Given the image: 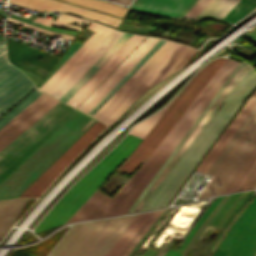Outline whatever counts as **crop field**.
<instances>
[{
  "instance_id": "obj_1",
  "label": "crop field",
  "mask_w": 256,
  "mask_h": 256,
  "mask_svg": "<svg viewBox=\"0 0 256 256\" xmlns=\"http://www.w3.org/2000/svg\"><path fill=\"white\" fill-rule=\"evenodd\" d=\"M255 85L256 72L239 63L127 213L165 207Z\"/></svg>"
},
{
  "instance_id": "obj_2",
  "label": "crop field",
  "mask_w": 256,
  "mask_h": 256,
  "mask_svg": "<svg viewBox=\"0 0 256 256\" xmlns=\"http://www.w3.org/2000/svg\"><path fill=\"white\" fill-rule=\"evenodd\" d=\"M225 58L215 59L213 62L201 69L186 87L174 98V100L158 113L143 121L127 135V137L106 155L86 175L78 180L55 204L50 212L36 227L38 233L48 227L63 224L85 201L86 199L106 180V178L118 168L131 173L133 169L146 159L167 132L172 128L202 88L210 80L213 74L224 62Z\"/></svg>"
},
{
  "instance_id": "obj_3",
  "label": "crop field",
  "mask_w": 256,
  "mask_h": 256,
  "mask_svg": "<svg viewBox=\"0 0 256 256\" xmlns=\"http://www.w3.org/2000/svg\"><path fill=\"white\" fill-rule=\"evenodd\" d=\"M237 64L238 62L233 60H226L153 154L147 158L112 199L95 191L67 223L126 213Z\"/></svg>"
},
{
  "instance_id": "obj_4",
  "label": "crop field",
  "mask_w": 256,
  "mask_h": 256,
  "mask_svg": "<svg viewBox=\"0 0 256 256\" xmlns=\"http://www.w3.org/2000/svg\"><path fill=\"white\" fill-rule=\"evenodd\" d=\"M91 119L77 111L0 185V199L18 197L95 122V120L93 121L94 118ZM86 123L91 124L87 126ZM81 128L82 130L85 129L81 131Z\"/></svg>"
},
{
  "instance_id": "obj_5",
  "label": "crop field",
  "mask_w": 256,
  "mask_h": 256,
  "mask_svg": "<svg viewBox=\"0 0 256 256\" xmlns=\"http://www.w3.org/2000/svg\"><path fill=\"white\" fill-rule=\"evenodd\" d=\"M136 215L74 224L50 256H104Z\"/></svg>"
},
{
  "instance_id": "obj_6",
  "label": "crop field",
  "mask_w": 256,
  "mask_h": 256,
  "mask_svg": "<svg viewBox=\"0 0 256 256\" xmlns=\"http://www.w3.org/2000/svg\"><path fill=\"white\" fill-rule=\"evenodd\" d=\"M75 110L59 101L0 150V182Z\"/></svg>"
},
{
  "instance_id": "obj_7",
  "label": "crop field",
  "mask_w": 256,
  "mask_h": 256,
  "mask_svg": "<svg viewBox=\"0 0 256 256\" xmlns=\"http://www.w3.org/2000/svg\"><path fill=\"white\" fill-rule=\"evenodd\" d=\"M247 140L249 142H247ZM256 147V115L217 170L199 198L224 194L239 170ZM221 184L220 187L217 185Z\"/></svg>"
},
{
  "instance_id": "obj_8",
  "label": "crop field",
  "mask_w": 256,
  "mask_h": 256,
  "mask_svg": "<svg viewBox=\"0 0 256 256\" xmlns=\"http://www.w3.org/2000/svg\"><path fill=\"white\" fill-rule=\"evenodd\" d=\"M256 196L231 226L213 256H255Z\"/></svg>"
},
{
  "instance_id": "obj_9",
  "label": "crop field",
  "mask_w": 256,
  "mask_h": 256,
  "mask_svg": "<svg viewBox=\"0 0 256 256\" xmlns=\"http://www.w3.org/2000/svg\"><path fill=\"white\" fill-rule=\"evenodd\" d=\"M58 21L81 25L89 20L60 14ZM84 26V25H81ZM87 29L95 32L39 89L51 93L80 63L81 61L112 31L103 25L91 22Z\"/></svg>"
},
{
  "instance_id": "obj_10",
  "label": "crop field",
  "mask_w": 256,
  "mask_h": 256,
  "mask_svg": "<svg viewBox=\"0 0 256 256\" xmlns=\"http://www.w3.org/2000/svg\"><path fill=\"white\" fill-rule=\"evenodd\" d=\"M105 127L95 122L78 140H76L38 179H36L19 197H37L68 165V163Z\"/></svg>"
},
{
  "instance_id": "obj_11",
  "label": "crop field",
  "mask_w": 256,
  "mask_h": 256,
  "mask_svg": "<svg viewBox=\"0 0 256 256\" xmlns=\"http://www.w3.org/2000/svg\"><path fill=\"white\" fill-rule=\"evenodd\" d=\"M33 88L30 80L8 64L5 54L0 56V117Z\"/></svg>"
},
{
  "instance_id": "obj_12",
  "label": "crop field",
  "mask_w": 256,
  "mask_h": 256,
  "mask_svg": "<svg viewBox=\"0 0 256 256\" xmlns=\"http://www.w3.org/2000/svg\"><path fill=\"white\" fill-rule=\"evenodd\" d=\"M173 42L166 41L131 77L130 79L93 115L101 119L118 100L156 63V61L173 45ZM175 43L157 63L119 100V102L100 120L104 121L121 102L178 46Z\"/></svg>"
},
{
  "instance_id": "obj_13",
  "label": "crop field",
  "mask_w": 256,
  "mask_h": 256,
  "mask_svg": "<svg viewBox=\"0 0 256 256\" xmlns=\"http://www.w3.org/2000/svg\"><path fill=\"white\" fill-rule=\"evenodd\" d=\"M191 50L192 48L180 44L103 123L110 126L138 97L159 83Z\"/></svg>"
},
{
  "instance_id": "obj_14",
  "label": "crop field",
  "mask_w": 256,
  "mask_h": 256,
  "mask_svg": "<svg viewBox=\"0 0 256 256\" xmlns=\"http://www.w3.org/2000/svg\"><path fill=\"white\" fill-rule=\"evenodd\" d=\"M144 38L132 35L66 103L76 108Z\"/></svg>"
},
{
  "instance_id": "obj_15",
  "label": "crop field",
  "mask_w": 256,
  "mask_h": 256,
  "mask_svg": "<svg viewBox=\"0 0 256 256\" xmlns=\"http://www.w3.org/2000/svg\"><path fill=\"white\" fill-rule=\"evenodd\" d=\"M11 3L20 4L22 6L34 9L36 11H64L80 14L86 18L106 23L110 26L117 27L120 19L99 13L90 9L82 8L72 4L64 3L57 0H9Z\"/></svg>"
},
{
  "instance_id": "obj_16",
  "label": "crop field",
  "mask_w": 256,
  "mask_h": 256,
  "mask_svg": "<svg viewBox=\"0 0 256 256\" xmlns=\"http://www.w3.org/2000/svg\"><path fill=\"white\" fill-rule=\"evenodd\" d=\"M122 34L113 30L50 95L59 99Z\"/></svg>"
},
{
  "instance_id": "obj_17",
  "label": "crop field",
  "mask_w": 256,
  "mask_h": 256,
  "mask_svg": "<svg viewBox=\"0 0 256 256\" xmlns=\"http://www.w3.org/2000/svg\"><path fill=\"white\" fill-rule=\"evenodd\" d=\"M58 101L59 100L49 95L44 98L40 103H38L34 108H32L28 113H26L22 118H20L16 123H14L10 128H8L4 133L0 135V149L3 148L7 143H9L13 138H15L19 133H21L25 128H27L31 123H33Z\"/></svg>"
},
{
  "instance_id": "obj_18",
  "label": "crop field",
  "mask_w": 256,
  "mask_h": 256,
  "mask_svg": "<svg viewBox=\"0 0 256 256\" xmlns=\"http://www.w3.org/2000/svg\"><path fill=\"white\" fill-rule=\"evenodd\" d=\"M255 103L256 90L246 102V104L243 106V108L236 115V117L233 119V121L230 123V125L227 127V129L224 131V133L221 135V137L218 139V141L215 143V145L212 147L207 156L204 158L200 166L197 168L198 171L205 172V170L208 168V166L226 144L228 139L231 137V135L234 133V131L237 129V127L240 125V123L243 121V119L246 117V115L249 113Z\"/></svg>"
},
{
  "instance_id": "obj_19",
  "label": "crop field",
  "mask_w": 256,
  "mask_h": 256,
  "mask_svg": "<svg viewBox=\"0 0 256 256\" xmlns=\"http://www.w3.org/2000/svg\"><path fill=\"white\" fill-rule=\"evenodd\" d=\"M189 1L190 0H137L131 8L144 13L177 16Z\"/></svg>"
},
{
  "instance_id": "obj_20",
  "label": "crop field",
  "mask_w": 256,
  "mask_h": 256,
  "mask_svg": "<svg viewBox=\"0 0 256 256\" xmlns=\"http://www.w3.org/2000/svg\"><path fill=\"white\" fill-rule=\"evenodd\" d=\"M249 158V157H248ZM240 171V170H239ZM256 183V149L225 193L250 189Z\"/></svg>"
},
{
  "instance_id": "obj_21",
  "label": "crop field",
  "mask_w": 256,
  "mask_h": 256,
  "mask_svg": "<svg viewBox=\"0 0 256 256\" xmlns=\"http://www.w3.org/2000/svg\"><path fill=\"white\" fill-rule=\"evenodd\" d=\"M131 36L124 33L93 65L92 67L60 98L66 102L97 70L98 68Z\"/></svg>"
},
{
  "instance_id": "obj_22",
  "label": "crop field",
  "mask_w": 256,
  "mask_h": 256,
  "mask_svg": "<svg viewBox=\"0 0 256 256\" xmlns=\"http://www.w3.org/2000/svg\"><path fill=\"white\" fill-rule=\"evenodd\" d=\"M28 199H8L0 201V238L12 224Z\"/></svg>"
},
{
  "instance_id": "obj_23",
  "label": "crop field",
  "mask_w": 256,
  "mask_h": 256,
  "mask_svg": "<svg viewBox=\"0 0 256 256\" xmlns=\"http://www.w3.org/2000/svg\"><path fill=\"white\" fill-rule=\"evenodd\" d=\"M153 38L147 37L114 71L113 73L78 107L84 110L99 94L100 92L136 57V55L152 40ZM149 45V44H148ZM147 45V46H148ZM146 46V47H147ZM145 47V48H146ZM144 48V49H145ZM143 49V50H144ZM142 50V51H143ZM141 51V52H142ZM140 52V53H141ZM139 53V54H140ZM138 54V55H139ZM137 55V56H138Z\"/></svg>"
},
{
  "instance_id": "obj_24",
  "label": "crop field",
  "mask_w": 256,
  "mask_h": 256,
  "mask_svg": "<svg viewBox=\"0 0 256 256\" xmlns=\"http://www.w3.org/2000/svg\"><path fill=\"white\" fill-rule=\"evenodd\" d=\"M152 212L138 214L137 217L133 220V222L129 225V227L125 230V232L121 235V237L117 240V242L113 245V247L108 251L105 256H118L123 248L127 245V243L131 240V238L135 235V233L152 214Z\"/></svg>"
},
{
  "instance_id": "obj_25",
  "label": "crop field",
  "mask_w": 256,
  "mask_h": 256,
  "mask_svg": "<svg viewBox=\"0 0 256 256\" xmlns=\"http://www.w3.org/2000/svg\"><path fill=\"white\" fill-rule=\"evenodd\" d=\"M164 42L160 39L87 114L92 116Z\"/></svg>"
},
{
  "instance_id": "obj_26",
  "label": "crop field",
  "mask_w": 256,
  "mask_h": 256,
  "mask_svg": "<svg viewBox=\"0 0 256 256\" xmlns=\"http://www.w3.org/2000/svg\"><path fill=\"white\" fill-rule=\"evenodd\" d=\"M239 0H212L197 17L222 19Z\"/></svg>"
},
{
  "instance_id": "obj_27",
  "label": "crop field",
  "mask_w": 256,
  "mask_h": 256,
  "mask_svg": "<svg viewBox=\"0 0 256 256\" xmlns=\"http://www.w3.org/2000/svg\"><path fill=\"white\" fill-rule=\"evenodd\" d=\"M71 3H75L84 7H88L94 10L102 11L105 13L117 15L123 18L127 9L113 3L101 1V0H65Z\"/></svg>"
},
{
  "instance_id": "obj_28",
  "label": "crop field",
  "mask_w": 256,
  "mask_h": 256,
  "mask_svg": "<svg viewBox=\"0 0 256 256\" xmlns=\"http://www.w3.org/2000/svg\"><path fill=\"white\" fill-rule=\"evenodd\" d=\"M223 196L217 197L213 203L207 208V210L204 212V214L201 216V218L196 222V224L193 226V228L190 230L188 235L185 237L183 244L180 246V248L177 251L168 249L167 252L164 254V256H180L184 248L186 247L189 240L192 238V236L195 234V232L198 230V228L201 226L203 221L206 219V217L209 215V213L212 211V209L216 206V204L221 200Z\"/></svg>"
},
{
  "instance_id": "obj_29",
  "label": "crop field",
  "mask_w": 256,
  "mask_h": 256,
  "mask_svg": "<svg viewBox=\"0 0 256 256\" xmlns=\"http://www.w3.org/2000/svg\"><path fill=\"white\" fill-rule=\"evenodd\" d=\"M254 7H256V0H240L223 19L234 23Z\"/></svg>"
},
{
  "instance_id": "obj_30",
  "label": "crop field",
  "mask_w": 256,
  "mask_h": 256,
  "mask_svg": "<svg viewBox=\"0 0 256 256\" xmlns=\"http://www.w3.org/2000/svg\"><path fill=\"white\" fill-rule=\"evenodd\" d=\"M162 212L163 210L153 212V214L149 217V219L145 222L141 229L136 233V235L132 238V240L128 243V245L124 248V250L120 253L119 256H128V254L132 251V249L136 246V244L140 241V239L144 236V234L148 231V229L151 227V225L155 222V220L159 217V215Z\"/></svg>"
},
{
  "instance_id": "obj_31",
  "label": "crop field",
  "mask_w": 256,
  "mask_h": 256,
  "mask_svg": "<svg viewBox=\"0 0 256 256\" xmlns=\"http://www.w3.org/2000/svg\"><path fill=\"white\" fill-rule=\"evenodd\" d=\"M158 40L159 39L154 38L149 45L101 92L84 112L87 113Z\"/></svg>"
},
{
  "instance_id": "obj_32",
  "label": "crop field",
  "mask_w": 256,
  "mask_h": 256,
  "mask_svg": "<svg viewBox=\"0 0 256 256\" xmlns=\"http://www.w3.org/2000/svg\"><path fill=\"white\" fill-rule=\"evenodd\" d=\"M36 89L32 93H30L24 100H22L16 107H14L8 114L0 119V128L10 119H12L16 114H18L22 109H24L28 104H30L34 99H36L40 94H42V92Z\"/></svg>"
},
{
  "instance_id": "obj_33",
  "label": "crop field",
  "mask_w": 256,
  "mask_h": 256,
  "mask_svg": "<svg viewBox=\"0 0 256 256\" xmlns=\"http://www.w3.org/2000/svg\"><path fill=\"white\" fill-rule=\"evenodd\" d=\"M239 193L231 194V196L228 198V200L224 203V205L221 207V209L217 212V214L214 216V218L210 221L209 225L215 227V225L218 223V221L221 219V217L224 215V213L227 211V209L230 207V205L233 203V201L239 195Z\"/></svg>"
},
{
  "instance_id": "obj_34",
  "label": "crop field",
  "mask_w": 256,
  "mask_h": 256,
  "mask_svg": "<svg viewBox=\"0 0 256 256\" xmlns=\"http://www.w3.org/2000/svg\"><path fill=\"white\" fill-rule=\"evenodd\" d=\"M47 94L43 93L36 100H34L30 105H28L24 110H22L18 115H16L12 120H10L6 125L0 129V134L4 132L8 127H10L14 122H16L20 117H22L26 112H28L32 107H34L38 102H40Z\"/></svg>"
},
{
  "instance_id": "obj_35",
  "label": "crop field",
  "mask_w": 256,
  "mask_h": 256,
  "mask_svg": "<svg viewBox=\"0 0 256 256\" xmlns=\"http://www.w3.org/2000/svg\"><path fill=\"white\" fill-rule=\"evenodd\" d=\"M34 22L46 25V26H54V27H60V28H66V29H71V30H77V31H81V27H77V26H73V25H69V24H65V23H61V22H57V21H52V20H48V19H43V18H39L36 17V19L34 20Z\"/></svg>"
},
{
  "instance_id": "obj_36",
  "label": "crop field",
  "mask_w": 256,
  "mask_h": 256,
  "mask_svg": "<svg viewBox=\"0 0 256 256\" xmlns=\"http://www.w3.org/2000/svg\"><path fill=\"white\" fill-rule=\"evenodd\" d=\"M8 21L17 23V24H19V25H21V26L29 27V28H31V29H33V30H38V31H40V32H42V33H46V34L53 35V36H58V35L52 34V33H56V32H53V31H50V30H46V29H42V28H38V27L29 25V24L24 23V22H21V21H17V20L10 19V18H8ZM56 34H59V33H56ZM61 35H63V34H61ZM58 37H62V38L70 39V40L73 39L72 36H68V35H63V36H58Z\"/></svg>"
},
{
  "instance_id": "obj_37",
  "label": "crop field",
  "mask_w": 256,
  "mask_h": 256,
  "mask_svg": "<svg viewBox=\"0 0 256 256\" xmlns=\"http://www.w3.org/2000/svg\"><path fill=\"white\" fill-rule=\"evenodd\" d=\"M210 1L198 0L184 16L195 17Z\"/></svg>"
},
{
  "instance_id": "obj_38",
  "label": "crop field",
  "mask_w": 256,
  "mask_h": 256,
  "mask_svg": "<svg viewBox=\"0 0 256 256\" xmlns=\"http://www.w3.org/2000/svg\"><path fill=\"white\" fill-rule=\"evenodd\" d=\"M196 52L197 50L193 49L165 78L179 71Z\"/></svg>"
},
{
  "instance_id": "obj_39",
  "label": "crop field",
  "mask_w": 256,
  "mask_h": 256,
  "mask_svg": "<svg viewBox=\"0 0 256 256\" xmlns=\"http://www.w3.org/2000/svg\"><path fill=\"white\" fill-rule=\"evenodd\" d=\"M196 0H191L190 3L181 11L178 16H183L186 11L195 3Z\"/></svg>"
},
{
  "instance_id": "obj_40",
  "label": "crop field",
  "mask_w": 256,
  "mask_h": 256,
  "mask_svg": "<svg viewBox=\"0 0 256 256\" xmlns=\"http://www.w3.org/2000/svg\"><path fill=\"white\" fill-rule=\"evenodd\" d=\"M114 2H118L121 4H129L131 2V0H114Z\"/></svg>"
},
{
  "instance_id": "obj_41",
  "label": "crop field",
  "mask_w": 256,
  "mask_h": 256,
  "mask_svg": "<svg viewBox=\"0 0 256 256\" xmlns=\"http://www.w3.org/2000/svg\"><path fill=\"white\" fill-rule=\"evenodd\" d=\"M167 248L162 249L157 256H162L166 252Z\"/></svg>"
},
{
  "instance_id": "obj_42",
  "label": "crop field",
  "mask_w": 256,
  "mask_h": 256,
  "mask_svg": "<svg viewBox=\"0 0 256 256\" xmlns=\"http://www.w3.org/2000/svg\"><path fill=\"white\" fill-rule=\"evenodd\" d=\"M3 51H4V45L0 44V54L3 53Z\"/></svg>"
},
{
  "instance_id": "obj_43",
  "label": "crop field",
  "mask_w": 256,
  "mask_h": 256,
  "mask_svg": "<svg viewBox=\"0 0 256 256\" xmlns=\"http://www.w3.org/2000/svg\"><path fill=\"white\" fill-rule=\"evenodd\" d=\"M0 43L4 44V38L2 36H0Z\"/></svg>"
},
{
  "instance_id": "obj_44",
  "label": "crop field",
  "mask_w": 256,
  "mask_h": 256,
  "mask_svg": "<svg viewBox=\"0 0 256 256\" xmlns=\"http://www.w3.org/2000/svg\"><path fill=\"white\" fill-rule=\"evenodd\" d=\"M254 188H256V185L254 186Z\"/></svg>"
},
{
  "instance_id": "obj_45",
  "label": "crop field",
  "mask_w": 256,
  "mask_h": 256,
  "mask_svg": "<svg viewBox=\"0 0 256 256\" xmlns=\"http://www.w3.org/2000/svg\"><path fill=\"white\" fill-rule=\"evenodd\" d=\"M111 1H113V0H111Z\"/></svg>"
}]
</instances>
